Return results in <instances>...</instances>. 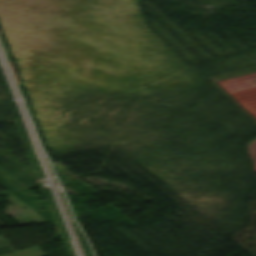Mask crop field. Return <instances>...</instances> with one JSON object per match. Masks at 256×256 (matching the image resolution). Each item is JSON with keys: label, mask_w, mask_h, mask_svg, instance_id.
<instances>
[{"label": "crop field", "mask_w": 256, "mask_h": 256, "mask_svg": "<svg viewBox=\"0 0 256 256\" xmlns=\"http://www.w3.org/2000/svg\"><path fill=\"white\" fill-rule=\"evenodd\" d=\"M0 256H47V255L42 251H40L38 248L33 247V248L12 252V253L0 255Z\"/></svg>", "instance_id": "8a807250"}]
</instances>
